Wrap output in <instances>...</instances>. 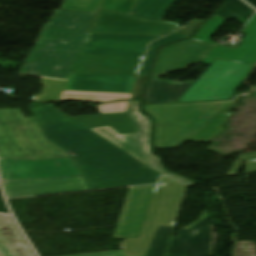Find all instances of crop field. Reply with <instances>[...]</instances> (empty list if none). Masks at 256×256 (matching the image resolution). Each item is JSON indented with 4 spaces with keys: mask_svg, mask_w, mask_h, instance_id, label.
Listing matches in <instances>:
<instances>
[{
    "mask_svg": "<svg viewBox=\"0 0 256 256\" xmlns=\"http://www.w3.org/2000/svg\"><path fill=\"white\" fill-rule=\"evenodd\" d=\"M45 139L67 154L89 190L156 183L159 174L54 107L31 110Z\"/></svg>",
    "mask_w": 256,
    "mask_h": 256,
    "instance_id": "8a807250",
    "label": "crop field"
},
{
    "mask_svg": "<svg viewBox=\"0 0 256 256\" xmlns=\"http://www.w3.org/2000/svg\"><path fill=\"white\" fill-rule=\"evenodd\" d=\"M95 14L56 10L19 74L66 81Z\"/></svg>",
    "mask_w": 256,
    "mask_h": 256,
    "instance_id": "ac0d7876",
    "label": "crop field"
},
{
    "mask_svg": "<svg viewBox=\"0 0 256 256\" xmlns=\"http://www.w3.org/2000/svg\"><path fill=\"white\" fill-rule=\"evenodd\" d=\"M66 156L41 134L34 118L23 119L19 109L0 110V158Z\"/></svg>",
    "mask_w": 256,
    "mask_h": 256,
    "instance_id": "34b2d1b8",
    "label": "crop field"
},
{
    "mask_svg": "<svg viewBox=\"0 0 256 256\" xmlns=\"http://www.w3.org/2000/svg\"><path fill=\"white\" fill-rule=\"evenodd\" d=\"M160 183H165V186H155L138 238L119 243L125 256H144L158 225L173 226L185 186L167 177H163Z\"/></svg>",
    "mask_w": 256,
    "mask_h": 256,
    "instance_id": "412701ff",
    "label": "crop field"
},
{
    "mask_svg": "<svg viewBox=\"0 0 256 256\" xmlns=\"http://www.w3.org/2000/svg\"><path fill=\"white\" fill-rule=\"evenodd\" d=\"M254 67L215 60L177 102L227 100Z\"/></svg>",
    "mask_w": 256,
    "mask_h": 256,
    "instance_id": "f4fd0767",
    "label": "crop field"
},
{
    "mask_svg": "<svg viewBox=\"0 0 256 256\" xmlns=\"http://www.w3.org/2000/svg\"><path fill=\"white\" fill-rule=\"evenodd\" d=\"M139 100L131 101L128 117L135 127L137 134L131 135H119L110 127L93 128L90 129L96 134L100 135L104 139L108 140L112 144L116 145L120 149L124 150L131 156L135 157L145 165L149 166L158 173L167 174L187 185L195 184L188 181L178 175L170 174L166 172L160 165V161L157 157L150 153L149 147V134H150V122L149 118L139 113L137 105Z\"/></svg>",
    "mask_w": 256,
    "mask_h": 256,
    "instance_id": "dd49c442",
    "label": "crop field"
},
{
    "mask_svg": "<svg viewBox=\"0 0 256 256\" xmlns=\"http://www.w3.org/2000/svg\"><path fill=\"white\" fill-rule=\"evenodd\" d=\"M178 28L175 23L98 10L88 33L165 35Z\"/></svg>",
    "mask_w": 256,
    "mask_h": 256,
    "instance_id": "e52e79f7",
    "label": "crop field"
},
{
    "mask_svg": "<svg viewBox=\"0 0 256 256\" xmlns=\"http://www.w3.org/2000/svg\"><path fill=\"white\" fill-rule=\"evenodd\" d=\"M2 180H40L82 176L70 158L44 161L0 160Z\"/></svg>",
    "mask_w": 256,
    "mask_h": 256,
    "instance_id": "d8731c3e",
    "label": "crop field"
},
{
    "mask_svg": "<svg viewBox=\"0 0 256 256\" xmlns=\"http://www.w3.org/2000/svg\"><path fill=\"white\" fill-rule=\"evenodd\" d=\"M232 101L143 106L155 124L208 123Z\"/></svg>",
    "mask_w": 256,
    "mask_h": 256,
    "instance_id": "5a996713",
    "label": "crop field"
},
{
    "mask_svg": "<svg viewBox=\"0 0 256 256\" xmlns=\"http://www.w3.org/2000/svg\"><path fill=\"white\" fill-rule=\"evenodd\" d=\"M158 37L88 34L79 53L142 57L148 42Z\"/></svg>",
    "mask_w": 256,
    "mask_h": 256,
    "instance_id": "3316defc",
    "label": "crop field"
},
{
    "mask_svg": "<svg viewBox=\"0 0 256 256\" xmlns=\"http://www.w3.org/2000/svg\"><path fill=\"white\" fill-rule=\"evenodd\" d=\"M155 185L129 188L113 239L137 237Z\"/></svg>",
    "mask_w": 256,
    "mask_h": 256,
    "instance_id": "28ad6ade",
    "label": "crop field"
},
{
    "mask_svg": "<svg viewBox=\"0 0 256 256\" xmlns=\"http://www.w3.org/2000/svg\"><path fill=\"white\" fill-rule=\"evenodd\" d=\"M211 47L212 45L193 38L164 46L151 75L165 76L167 72L186 68L188 64L198 62Z\"/></svg>",
    "mask_w": 256,
    "mask_h": 256,
    "instance_id": "d1516ede",
    "label": "crop field"
},
{
    "mask_svg": "<svg viewBox=\"0 0 256 256\" xmlns=\"http://www.w3.org/2000/svg\"><path fill=\"white\" fill-rule=\"evenodd\" d=\"M2 183L7 198L88 190L82 177Z\"/></svg>",
    "mask_w": 256,
    "mask_h": 256,
    "instance_id": "22f410ed",
    "label": "crop field"
},
{
    "mask_svg": "<svg viewBox=\"0 0 256 256\" xmlns=\"http://www.w3.org/2000/svg\"><path fill=\"white\" fill-rule=\"evenodd\" d=\"M141 59L79 54L71 72L136 75Z\"/></svg>",
    "mask_w": 256,
    "mask_h": 256,
    "instance_id": "cbeb9de0",
    "label": "crop field"
},
{
    "mask_svg": "<svg viewBox=\"0 0 256 256\" xmlns=\"http://www.w3.org/2000/svg\"><path fill=\"white\" fill-rule=\"evenodd\" d=\"M135 77L71 73L63 90L131 93Z\"/></svg>",
    "mask_w": 256,
    "mask_h": 256,
    "instance_id": "5142ce71",
    "label": "crop field"
},
{
    "mask_svg": "<svg viewBox=\"0 0 256 256\" xmlns=\"http://www.w3.org/2000/svg\"><path fill=\"white\" fill-rule=\"evenodd\" d=\"M242 34L245 36L237 49L215 46L201 63L210 65L215 59H220L250 65L256 64V16Z\"/></svg>",
    "mask_w": 256,
    "mask_h": 256,
    "instance_id": "d9b57169",
    "label": "crop field"
},
{
    "mask_svg": "<svg viewBox=\"0 0 256 256\" xmlns=\"http://www.w3.org/2000/svg\"><path fill=\"white\" fill-rule=\"evenodd\" d=\"M173 229L159 226L145 256H186L188 230L181 229L175 238L171 237Z\"/></svg>",
    "mask_w": 256,
    "mask_h": 256,
    "instance_id": "733c2abd",
    "label": "crop field"
},
{
    "mask_svg": "<svg viewBox=\"0 0 256 256\" xmlns=\"http://www.w3.org/2000/svg\"><path fill=\"white\" fill-rule=\"evenodd\" d=\"M193 82H173L151 76L144 92L143 104L176 102Z\"/></svg>",
    "mask_w": 256,
    "mask_h": 256,
    "instance_id": "4a817a6b",
    "label": "crop field"
},
{
    "mask_svg": "<svg viewBox=\"0 0 256 256\" xmlns=\"http://www.w3.org/2000/svg\"><path fill=\"white\" fill-rule=\"evenodd\" d=\"M9 216L0 213V256H33Z\"/></svg>",
    "mask_w": 256,
    "mask_h": 256,
    "instance_id": "bc2a9ffb",
    "label": "crop field"
},
{
    "mask_svg": "<svg viewBox=\"0 0 256 256\" xmlns=\"http://www.w3.org/2000/svg\"><path fill=\"white\" fill-rule=\"evenodd\" d=\"M205 124L155 126L154 148L177 147Z\"/></svg>",
    "mask_w": 256,
    "mask_h": 256,
    "instance_id": "214f88e0",
    "label": "crop field"
},
{
    "mask_svg": "<svg viewBox=\"0 0 256 256\" xmlns=\"http://www.w3.org/2000/svg\"><path fill=\"white\" fill-rule=\"evenodd\" d=\"M87 128L110 126L120 134L136 133L125 113L72 118Z\"/></svg>",
    "mask_w": 256,
    "mask_h": 256,
    "instance_id": "92a150f3",
    "label": "crop field"
},
{
    "mask_svg": "<svg viewBox=\"0 0 256 256\" xmlns=\"http://www.w3.org/2000/svg\"><path fill=\"white\" fill-rule=\"evenodd\" d=\"M211 234L207 219L189 229L187 256H208Z\"/></svg>",
    "mask_w": 256,
    "mask_h": 256,
    "instance_id": "dafd665d",
    "label": "crop field"
},
{
    "mask_svg": "<svg viewBox=\"0 0 256 256\" xmlns=\"http://www.w3.org/2000/svg\"><path fill=\"white\" fill-rule=\"evenodd\" d=\"M177 0H137L131 14L161 20Z\"/></svg>",
    "mask_w": 256,
    "mask_h": 256,
    "instance_id": "00972430",
    "label": "crop field"
},
{
    "mask_svg": "<svg viewBox=\"0 0 256 256\" xmlns=\"http://www.w3.org/2000/svg\"><path fill=\"white\" fill-rule=\"evenodd\" d=\"M222 1H224L226 4L221 7L215 14L226 20H231L234 18L245 25L255 12L244 3H242L240 0Z\"/></svg>",
    "mask_w": 256,
    "mask_h": 256,
    "instance_id": "a9b5d70f",
    "label": "crop field"
},
{
    "mask_svg": "<svg viewBox=\"0 0 256 256\" xmlns=\"http://www.w3.org/2000/svg\"><path fill=\"white\" fill-rule=\"evenodd\" d=\"M131 94L98 93V92H74L63 91L59 101L79 100L88 102H108L121 99H129Z\"/></svg>",
    "mask_w": 256,
    "mask_h": 256,
    "instance_id": "4177f3b9",
    "label": "crop field"
},
{
    "mask_svg": "<svg viewBox=\"0 0 256 256\" xmlns=\"http://www.w3.org/2000/svg\"><path fill=\"white\" fill-rule=\"evenodd\" d=\"M234 103L226 108L223 112H221L217 117H215L211 122L206 124L204 127H202L197 133H195L191 138H189V141L194 142H207L212 137H214L217 133H219L222 128V124L227 120L226 117L230 114H228L226 111L231 108Z\"/></svg>",
    "mask_w": 256,
    "mask_h": 256,
    "instance_id": "730fd06b",
    "label": "crop field"
},
{
    "mask_svg": "<svg viewBox=\"0 0 256 256\" xmlns=\"http://www.w3.org/2000/svg\"><path fill=\"white\" fill-rule=\"evenodd\" d=\"M65 83L43 78L41 84H45V87L41 95L34 96L32 100L40 102L58 101Z\"/></svg>",
    "mask_w": 256,
    "mask_h": 256,
    "instance_id": "eef30255",
    "label": "crop field"
},
{
    "mask_svg": "<svg viewBox=\"0 0 256 256\" xmlns=\"http://www.w3.org/2000/svg\"><path fill=\"white\" fill-rule=\"evenodd\" d=\"M185 37H187V36L179 34L177 32H174V33H172V34H170V35H168V36H166V37H164L160 40H157V41L151 43L150 46H149V50H148V53L146 55L142 70H141L139 75H143V76L147 75V72H148L150 63L152 61L153 55H154V53H155V51H156V49L158 48L159 45L171 43V42L177 41V40L185 38Z\"/></svg>",
    "mask_w": 256,
    "mask_h": 256,
    "instance_id": "ae1a2a85",
    "label": "crop field"
},
{
    "mask_svg": "<svg viewBox=\"0 0 256 256\" xmlns=\"http://www.w3.org/2000/svg\"><path fill=\"white\" fill-rule=\"evenodd\" d=\"M226 20L214 16L210 21L202 24L193 38H196L198 40L207 42L209 44L214 45L215 43L210 42L208 39L216 32V30L225 22Z\"/></svg>",
    "mask_w": 256,
    "mask_h": 256,
    "instance_id": "d3111659",
    "label": "crop field"
},
{
    "mask_svg": "<svg viewBox=\"0 0 256 256\" xmlns=\"http://www.w3.org/2000/svg\"><path fill=\"white\" fill-rule=\"evenodd\" d=\"M135 1L136 0H103L99 9L129 14Z\"/></svg>",
    "mask_w": 256,
    "mask_h": 256,
    "instance_id": "750c4746",
    "label": "crop field"
},
{
    "mask_svg": "<svg viewBox=\"0 0 256 256\" xmlns=\"http://www.w3.org/2000/svg\"><path fill=\"white\" fill-rule=\"evenodd\" d=\"M247 160L248 161V173L251 172H256V152L255 153H248V154H243L240 155L236 163L233 165L231 170L229 171L228 175L235 174L237 169L240 167L243 161Z\"/></svg>",
    "mask_w": 256,
    "mask_h": 256,
    "instance_id": "bd1437ed",
    "label": "crop field"
},
{
    "mask_svg": "<svg viewBox=\"0 0 256 256\" xmlns=\"http://www.w3.org/2000/svg\"><path fill=\"white\" fill-rule=\"evenodd\" d=\"M233 256H256L255 241L236 242Z\"/></svg>",
    "mask_w": 256,
    "mask_h": 256,
    "instance_id": "1d83c4d3",
    "label": "crop field"
},
{
    "mask_svg": "<svg viewBox=\"0 0 256 256\" xmlns=\"http://www.w3.org/2000/svg\"><path fill=\"white\" fill-rule=\"evenodd\" d=\"M127 103L128 102L98 106V108L100 114L125 112Z\"/></svg>",
    "mask_w": 256,
    "mask_h": 256,
    "instance_id": "120bbe31",
    "label": "crop field"
},
{
    "mask_svg": "<svg viewBox=\"0 0 256 256\" xmlns=\"http://www.w3.org/2000/svg\"><path fill=\"white\" fill-rule=\"evenodd\" d=\"M72 256H124L122 250L117 251H108V252H99V253H90V254H81V255H72Z\"/></svg>",
    "mask_w": 256,
    "mask_h": 256,
    "instance_id": "d32e631a",
    "label": "crop field"
},
{
    "mask_svg": "<svg viewBox=\"0 0 256 256\" xmlns=\"http://www.w3.org/2000/svg\"><path fill=\"white\" fill-rule=\"evenodd\" d=\"M202 20L195 19L193 22H191L186 28L177 31L179 33L185 34L187 36L191 35L192 31L195 29V27L201 22Z\"/></svg>",
    "mask_w": 256,
    "mask_h": 256,
    "instance_id": "5866460e",
    "label": "crop field"
},
{
    "mask_svg": "<svg viewBox=\"0 0 256 256\" xmlns=\"http://www.w3.org/2000/svg\"><path fill=\"white\" fill-rule=\"evenodd\" d=\"M145 78H146V77L139 76L138 82H137V84H136V88H135V92H134L133 98H137V97L139 96L140 91H141L142 86H143V83H144V81H145ZM133 98H132V99H133Z\"/></svg>",
    "mask_w": 256,
    "mask_h": 256,
    "instance_id": "028f5c9d",
    "label": "crop field"
},
{
    "mask_svg": "<svg viewBox=\"0 0 256 256\" xmlns=\"http://www.w3.org/2000/svg\"><path fill=\"white\" fill-rule=\"evenodd\" d=\"M206 216V213L205 211H201L200 215L198 216V218L193 221L192 223H190L189 225L187 226H183L182 228H185V229H189L191 228L193 225H195L197 222H199L201 219H203L204 217Z\"/></svg>",
    "mask_w": 256,
    "mask_h": 256,
    "instance_id": "e1f06a70",
    "label": "crop field"
},
{
    "mask_svg": "<svg viewBox=\"0 0 256 256\" xmlns=\"http://www.w3.org/2000/svg\"><path fill=\"white\" fill-rule=\"evenodd\" d=\"M254 89H256V87Z\"/></svg>",
    "mask_w": 256,
    "mask_h": 256,
    "instance_id": "0bd39190",
    "label": "crop field"
},
{
    "mask_svg": "<svg viewBox=\"0 0 256 256\" xmlns=\"http://www.w3.org/2000/svg\"><path fill=\"white\" fill-rule=\"evenodd\" d=\"M256 93V91H254Z\"/></svg>",
    "mask_w": 256,
    "mask_h": 256,
    "instance_id": "b80d0937",
    "label": "crop field"
}]
</instances>
